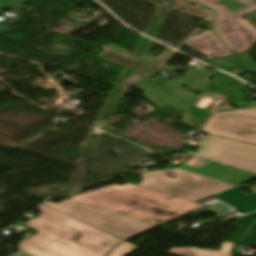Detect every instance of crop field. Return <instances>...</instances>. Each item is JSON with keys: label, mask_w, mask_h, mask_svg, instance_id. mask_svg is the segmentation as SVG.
<instances>
[{"label": "crop field", "mask_w": 256, "mask_h": 256, "mask_svg": "<svg viewBox=\"0 0 256 256\" xmlns=\"http://www.w3.org/2000/svg\"><path fill=\"white\" fill-rule=\"evenodd\" d=\"M39 210L44 212L27 225L39 233L19 244L31 256H104L123 241L47 205Z\"/></svg>", "instance_id": "1"}, {"label": "crop field", "mask_w": 256, "mask_h": 256, "mask_svg": "<svg viewBox=\"0 0 256 256\" xmlns=\"http://www.w3.org/2000/svg\"><path fill=\"white\" fill-rule=\"evenodd\" d=\"M100 49L106 52L98 57L135 72L117 87L125 89L130 86H136L138 89L146 92L143 95L154 103L157 109L171 106L184 112L193 104L194 100L191 98L197 99V97L181 90L180 87L185 84L190 87V90L203 91L209 83L207 78L215 75V73L212 72L189 70L184 78L177 81L170 80L160 86L148 80L158 70L167 72H171L172 69L182 70V68L179 67L163 66L175 55V51L167 48L170 52L164 51L154 59L145 54L138 58L130 56L128 55V50L113 44L109 46L104 45Z\"/></svg>", "instance_id": "2"}, {"label": "crop field", "mask_w": 256, "mask_h": 256, "mask_svg": "<svg viewBox=\"0 0 256 256\" xmlns=\"http://www.w3.org/2000/svg\"><path fill=\"white\" fill-rule=\"evenodd\" d=\"M69 199L151 222L157 226L206 206L130 183L108 186ZM164 218L167 221H164ZM157 220L162 223H156Z\"/></svg>", "instance_id": "3"}, {"label": "crop field", "mask_w": 256, "mask_h": 256, "mask_svg": "<svg viewBox=\"0 0 256 256\" xmlns=\"http://www.w3.org/2000/svg\"><path fill=\"white\" fill-rule=\"evenodd\" d=\"M201 3L216 11L215 33L234 53L245 51L256 42V29L239 18L256 9L255 0H205Z\"/></svg>", "instance_id": "4"}, {"label": "crop field", "mask_w": 256, "mask_h": 256, "mask_svg": "<svg viewBox=\"0 0 256 256\" xmlns=\"http://www.w3.org/2000/svg\"><path fill=\"white\" fill-rule=\"evenodd\" d=\"M173 172L175 179L164 173ZM139 186L174 195L187 200H198L215 195L235 186L212 180L180 169H167L141 174Z\"/></svg>", "instance_id": "5"}, {"label": "crop field", "mask_w": 256, "mask_h": 256, "mask_svg": "<svg viewBox=\"0 0 256 256\" xmlns=\"http://www.w3.org/2000/svg\"><path fill=\"white\" fill-rule=\"evenodd\" d=\"M45 204L66 214H69L77 219H80L88 224H91L99 229H102L123 240L156 227L151 223L133 219L71 200H66L59 204L46 201Z\"/></svg>", "instance_id": "6"}, {"label": "crop field", "mask_w": 256, "mask_h": 256, "mask_svg": "<svg viewBox=\"0 0 256 256\" xmlns=\"http://www.w3.org/2000/svg\"><path fill=\"white\" fill-rule=\"evenodd\" d=\"M193 155L256 173V146L208 134Z\"/></svg>", "instance_id": "7"}, {"label": "crop field", "mask_w": 256, "mask_h": 256, "mask_svg": "<svg viewBox=\"0 0 256 256\" xmlns=\"http://www.w3.org/2000/svg\"><path fill=\"white\" fill-rule=\"evenodd\" d=\"M201 130L256 145V108L230 113H215Z\"/></svg>", "instance_id": "8"}, {"label": "crop field", "mask_w": 256, "mask_h": 256, "mask_svg": "<svg viewBox=\"0 0 256 256\" xmlns=\"http://www.w3.org/2000/svg\"><path fill=\"white\" fill-rule=\"evenodd\" d=\"M205 9L209 13L208 20H212L211 31H205L200 35L190 37L184 45L200 52L208 59L231 55L232 53L213 35L214 12L207 8Z\"/></svg>", "instance_id": "9"}, {"label": "crop field", "mask_w": 256, "mask_h": 256, "mask_svg": "<svg viewBox=\"0 0 256 256\" xmlns=\"http://www.w3.org/2000/svg\"><path fill=\"white\" fill-rule=\"evenodd\" d=\"M245 187L244 185H239L214 197L244 213H248L256 210V193L245 196V193L240 190Z\"/></svg>", "instance_id": "10"}, {"label": "crop field", "mask_w": 256, "mask_h": 256, "mask_svg": "<svg viewBox=\"0 0 256 256\" xmlns=\"http://www.w3.org/2000/svg\"><path fill=\"white\" fill-rule=\"evenodd\" d=\"M209 62L210 65L217 66V68L225 71L242 66L244 68H249L251 71L256 73V65L246 53L212 59L209 60Z\"/></svg>", "instance_id": "11"}, {"label": "crop field", "mask_w": 256, "mask_h": 256, "mask_svg": "<svg viewBox=\"0 0 256 256\" xmlns=\"http://www.w3.org/2000/svg\"><path fill=\"white\" fill-rule=\"evenodd\" d=\"M255 219H256V212L250 215H247L245 217L238 218L236 222L241 226L230 241L238 242V240L241 238V236L244 234V232L247 230V228L252 224V222ZM239 243L256 247V221Z\"/></svg>", "instance_id": "12"}, {"label": "crop field", "mask_w": 256, "mask_h": 256, "mask_svg": "<svg viewBox=\"0 0 256 256\" xmlns=\"http://www.w3.org/2000/svg\"><path fill=\"white\" fill-rule=\"evenodd\" d=\"M235 244L225 241L222 243L219 251L200 250L196 248H174L168 252L177 256H231V249Z\"/></svg>", "instance_id": "13"}, {"label": "crop field", "mask_w": 256, "mask_h": 256, "mask_svg": "<svg viewBox=\"0 0 256 256\" xmlns=\"http://www.w3.org/2000/svg\"><path fill=\"white\" fill-rule=\"evenodd\" d=\"M136 246L127 242L121 243L111 250L106 256H124L133 250Z\"/></svg>", "instance_id": "14"}, {"label": "crop field", "mask_w": 256, "mask_h": 256, "mask_svg": "<svg viewBox=\"0 0 256 256\" xmlns=\"http://www.w3.org/2000/svg\"><path fill=\"white\" fill-rule=\"evenodd\" d=\"M14 256H26V255H24V254L18 252V253H16Z\"/></svg>", "instance_id": "15"}, {"label": "crop field", "mask_w": 256, "mask_h": 256, "mask_svg": "<svg viewBox=\"0 0 256 256\" xmlns=\"http://www.w3.org/2000/svg\"><path fill=\"white\" fill-rule=\"evenodd\" d=\"M188 1H190V2L194 3V2H196V1H198V0H188Z\"/></svg>", "instance_id": "16"}]
</instances>
